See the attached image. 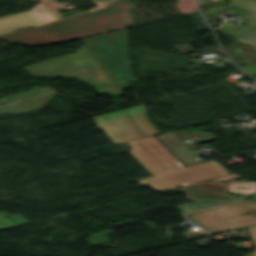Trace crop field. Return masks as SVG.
Returning <instances> with one entry per match:
<instances>
[{
	"instance_id": "1",
	"label": "crop field",
	"mask_w": 256,
	"mask_h": 256,
	"mask_svg": "<svg viewBox=\"0 0 256 256\" xmlns=\"http://www.w3.org/2000/svg\"><path fill=\"white\" fill-rule=\"evenodd\" d=\"M128 5L124 0L94 8L74 17L56 21L36 29L13 32L0 39L27 46L67 42L81 39L127 26Z\"/></svg>"
},
{
	"instance_id": "2",
	"label": "crop field",
	"mask_w": 256,
	"mask_h": 256,
	"mask_svg": "<svg viewBox=\"0 0 256 256\" xmlns=\"http://www.w3.org/2000/svg\"><path fill=\"white\" fill-rule=\"evenodd\" d=\"M128 144L132 147L129 154L153 175L137 182L157 191L229 174L214 161L184 167L153 136Z\"/></svg>"
},
{
	"instance_id": "3",
	"label": "crop field",
	"mask_w": 256,
	"mask_h": 256,
	"mask_svg": "<svg viewBox=\"0 0 256 256\" xmlns=\"http://www.w3.org/2000/svg\"><path fill=\"white\" fill-rule=\"evenodd\" d=\"M34 76L67 75L90 85L110 82V77L94 60L84 44L72 54L22 67Z\"/></svg>"
},
{
	"instance_id": "4",
	"label": "crop field",
	"mask_w": 256,
	"mask_h": 256,
	"mask_svg": "<svg viewBox=\"0 0 256 256\" xmlns=\"http://www.w3.org/2000/svg\"><path fill=\"white\" fill-rule=\"evenodd\" d=\"M83 42L115 81L131 79L127 29L84 39Z\"/></svg>"
},
{
	"instance_id": "5",
	"label": "crop field",
	"mask_w": 256,
	"mask_h": 256,
	"mask_svg": "<svg viewBox=\"0 0 256 256\" xmlns=\"http://www.w3.org/2000/svg\"><path fill=\"white\" fill-rule=\"evenodd\" d=\"M249 210H256V201L241 199L228 206L187 215L190 220L197 221L208 235L256 223V217L249 215Z\"/></svg>"
},
{
	"instance_id": "6",
	"label": "crop field",
	"mask_w": 256,
	"mask_h": 256,
	"mask_svg": "<svg viewBox=\"0 0 256 256\" xmlns=\"http://www.w3.org/2000/svg\"><path fill=\"white\" fill-rule=\"evenodd\" d=\"M99 131H103L113 144L141 138L123 110L92 117Z\"/></svg>"
},
{
	"instance_id": "7",
	"label": "crop field",
	"mask_w": 256,
	"mask_h": 256,
	"mask_svg": "<svg viewBox=\"0 0 256 256\" xmlns=\"http://www.w3.org/2000/svg\"><path fill=\"white\" fill-rule=\"evenodd\" d=\"M226 6L228 9L245 8L250 14L242 19L243 25L227 26L222 29L240 44H250L256 50V0H240Z\"/></svg>"
},
{
	"instance_id": "8",
	"label": "crop field",
	"mask_w": 256,
	"mask_h": 256,
	"mask_svg": "<svg viewBox=\"0 0 256 256\" xmlns=\"http://www.w3.org/2000/svg\"><path fill=\"white\" fill-rule=\"evenodd\" d=\"M56 20L53 14L40 2L28 11L0 17V33Z\"/></svg>"
},
{
	"instance_id": "9",
	"label": "crop field",
	"mask_w": 256,
	"mask_h": 256,
	"mask_svg": "<svg viewBox=\"0 0 256 256\" xmlns=\"http://www.w3.org/2000/svg\"><path fill=\"white\" fill-rule=\"evenodd\" d=\"M156 138L173 153L185 166L203 162L184 143L172 133L156 136Z\"/></svg>"
},
{
	"instance_id": "10",
	"label": "crop field",
	"mask_w": 256,
	"mask_h": 256,
	"mask_svg": "<svg viewBox=\"0 0 256 256\" xmlns=\"http://www.w3.org/2000/svg\"><path fill=\"white\" fill-rule=\"evenodd\" d=\"M125 111L127 112L128 116L132 120L133 124L138 128V130L144 136L158 134V132L146 119L143 104L126 108Z\"/></svg>"
},
{
	"instance_id": "11",
	"label": "crop field",
	"mask_w": 256,
	"mask_h": 256,
	"mask_svg": "<svg viewBox=\"0 0 256 256\" xmlns=\"http://www.w3.org/2000/svg\"><path fill=\"white\" fill-rule=\"evenodd\" d=\"M8 216L7 218H4L5 216ZM3 217L2 219H0V230L1 229H5V228H9V227H13V226H17V225H21V224H25L28 223L25 219H23L20 215H14V216H10L7 213L3 212L0 213V218Z\"/></svg>"
},
{
	"instance_id": "12",
	"label": "crop field",
	"mask_w": 256,
	"mask_h": 256,
	"mask_svg": "<svg viewBox=\"0 0 256 256\" xmlns=\"http://www.w3.org/2000/svg\"><path fill=\"white\" fill-rule=\"evenodd\" d=\"M95 87L99 91V93L108 92L109 94H111L113 96H116L118 94H122L123 93V92H121L119 90V88L117 87L116 83L97 85Z\"/></svg>"
},
{
	"instance_id": "13",
	"label": "crop field",
	"mask_w": 256,
	"mask_h": 256,
	"mask_svg": "<svg viewBox=\"0 0 256 256\" xmlns=\"http://www.w3.org/2000/svg\"><path fill=\"white\" fill-rule=\"evenodd\" d=\"M246 229L256 246V225L247 227ZM248 256H256V250L251 252Z\"/></svg>"
},
{
	"instance_id": "14",
	"label": "crop field",
	"mask_w": 256,
	"mask_h": 256,
	"mask_svg": "<svg viewBox=\"0 0 256 256\" xmlns=\"http://www.w3.org/2000/svg\"><path fill=\"white\" fill-rule=\"evenodd\" d=\"M117 85L119 86L120 90L129 87V84L127 81L124 82H118Z\"/></svg>"
}]
</instances>
